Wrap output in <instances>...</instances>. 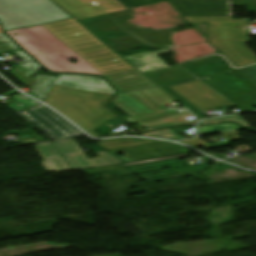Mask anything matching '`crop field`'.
Masks as SVG:
<instances>
[{
    "instance_id": "5a996713",
    "label": "crop field",
    "mask_w": 256,
    "mask_h": 256,
    "mask_svg": "<svg viewBox=\"0 0 256 256\" xmlns=\"http://www.w3.org/2000/svg\"><path fill=\"white\" fill-rule=\"evenodd\" d=\"M101 157L94 158L90 161L87 160L85 154L52 159L42 161V165L46 168L47 171L56 170L57 172L67 171V170H74V169H81V168H88V167H95L107 164H116L122 163L116 157L111 155L109 152H100L97 153Z\"/></svg>"
},
{
    "instance_id": "28ad6ade",
    "label": "crop field",
    "mask_w": 256,
    "mask_h": 256,
    "mask_svg": "<svg viewBox=\"0 0 256 256\" xmlns=\"http://www.w3.org/2000/svg\"><path fill=\"white\" fill-rule=\"evenodd\" d=\"M35 148L43 160L83 153L74 140L38 145Z\"/></svg>"
},
{
    "instance_id": "00972430",
    "label": "crop field",
    "mask_w": 256,
    "mask_h": 256,
    "mask_svg": "<svg viewBox=\"0 0 256 256\" xmlns=\"http://www.w3.org/2000/svg\"><path fill=\"white\" fill-rule=\"evenodd\" d=\"M122 93H118L117 96L114 98V100L112 102H116V100L121 96Z\"/></svg>"
},
{
    "instance_id": "d1516ede",
    "label": "crop field",
    "mask_w": 256,
    "mask_h": 256,
    "mask_svg": "<svg viewBox=\"0 0 256 256\" xmlns=\"http://www.w3.org/2000/svg\"><path fill=\"white\" fill-rule=\"evenodd\" d=\"M169 51L161 50L158 52H146L136 55L125 56L132 65H134L142 73L168 68L169 66L162 61L157 55Z\"/></svg>"
},
{
    "instance_id": "4a817a6b",
    "label": "crop field",
    "mask_w": 256,
    "mask_h": 256,
    "mask_svg": "<svg viewBox=\"0 0 256 256\" xmlns=\"http://www.w3.org/2000/svg\"><path fill=\"white\" fill-rule=\"evenodd\" d=\"M89 1L92 3V5H95V6L109 3V2L119 3L116 0H89Z\"/></svg>"
},
{
    "instance_id": "ac0d7876",
    "label": "crop field",
    "mask_w": 256,
    "mask_h": 256,
    "mask_svg": "<svg viewBox=\"0 0 256 256\" xmlns=\"http://www.w3.org/2000/svg\"><path fill=\"white\" fill-rule=\"evenodd\" d=\"M12 33H17L18 36H13ZM6 34L51 72L85 73L103 76L42 26L7 32ZM39 51L43 53H39ZM71 57L78 62L72 64L66 61Z\"/></svg>"
},
{
    "instance_id": "733c2abd",
    "label": "crop field",
    "mask_w": 256,
    "mask_h": 256,
    "mask_svg": "<svg viewBox=\"0 0 256 256\" xmlns=\"http://www.w3.org/2000/svg\"><path fill=\"white\" fill-rule=\"evenodd\" d=\"M205 129V134H214V133H222V132H228V131H235V130H240L238 127L234 126H217V127H208L204 128Z\"/></svg>"
},
{
    "instance_id": "cbeb9de0",
    "label": "crop field",
    "mask_w": 256,
    "mask_h": 256,
    "mask_svg": "<svg viewBox=\"0 0 256 256\" xmlns=\"http://www.w3.org/2000/svg\"><path fill=\"white\" fill-rule=\"evenodd\" d=\"M140 136L164 138V139L173 140V141L184 139L182 136L176 134L170 128L163 129V130H158V131H153V132H149V133H144V134H141Z\"/></svg>"
},
{
    "instance_id": "34b2d1b8",
    "label": "crop field",
    "mask_w": 256,
    "mask_h": 256,
    "mask_svg": "<svg viewBox=\"0 0 256 256\" xmlns=\"http://www.w3.org/2000/svg\"><path fill=\"white\" fill-rule=\"evenodd\" d=\"M110 98V95L53 85L45 103L67 116L90 135L99 137L93 130L117 117L105 107Z\"/></svg>"
},
{
    "instance_id": "412701ff",
    "label": "crop field",
    "mask_w": 256,
    "mask_h": 256,
    "mask_svg": "<svg viewBox=\"0 0 256 256\" xmlns=\"http://www.w3.org/2000/svg\"><path fill=\"white\" fill-rule=\"evenodd\" d=\"M13 50L26 64L13 69L10 74L32 92L44 99L53 84L113 95L112 89L101 77L60 74L59 78L33 73L40 68L28 55L0 34V52ZM33 74L31 79L28 75Z\"/></svg>"
},
{
    "instance_id": "22f410ed",
    "label": "crop field",
    "mask_w": 256,
    "mask_h": 256,
    "mask_svg": "<svg viewBox=\"0 0 256 256\" xmlns=\"http://www.w3.org/2000/svg\"><path fill=\"white\" fill-rule=\"evenodd\" d=\"M12 98H14L17 102L22 104L20 106L14 104V103H11L8 105V107L11 108L15 112L41 104V103H39L31 98H28L22 94L13 96Z\"/></svg>"
},
{
    "instance_id": "8a807250",
    "label": "crop field",
    "mask_w": 256,
    "mask_h": 256,
    "mask_svg": "<svg viewBox=\"0 0 256 256\" xmlns=\"http://www.w3.org/2000/svg\"><path fill=\"white\" fill-rule=\"evenodd\" d=\"M105 78L119 92H124L115 104L144 128L185 122V117L190 116L186 112L160 109L173 100L135 69Z\"/></svg>"
},
{
    "instance_id": "d9b57169",
    "label": "crop field",
    "mask_w": 256,
    "mask_h": 256,
    "mask_svg": "<svg viewBox=\"0 0 256 256\" xmlns=\"http://www.w3.org/2000/svg\"><path fill=\"white\" fill-rule=\"evenodd\" d=\"M224 121H235L244 127H247L248 125L238 116H229V117H223V118H217V119H211V120H205L201 121V124H207V123H215V122H224Z\"/></svg>"
},
{
    "instance_id": "dafd665d",
    "label": "crop field",
    "mask_w": 256,
    "mask_h": 256,
    "mask_svg": "<svg viewBox=\"0 0 256 256\" xmlns=\"http://www.w3.org/2000/svg\"><path fill=\"white\" fill-rule=\"evenodd\" d=\"M16 92H18V91L14 89V90H12V91H10V92L4 94V95L9 96V95H11V94H13V93H16Z\"/></svg>"
},
{
    "instance_id": "214f88e0",
    "label": "crop field",
    "mask_w": 256,
    "mask_h": 256,
    "mask_svg": "<svg viewBox=\"0 0 256 256\" xmlns=\"http://www.w3.org/2000/svg\"><path fill=\"white\" fill-rule=\"evenodd\" d=\"M227 124H231V125L237 126L236 124H232V123L218 124V125H227ZM211 126H216V125H211ZM204 127H207V126L199 127V133H200L201 135H204V130H203ZM240 128H241V127H240ZM241 129H242V128H241Z\"/></svg>"
},
{
    "instance_id": "dd49c442",
    "label": "crop field",
    "mask_w": 256,
    "mask_h": 256,
    "mask_svg": "<svg viewBox=\"0 0 256 256\" xmlns=\"http://www.w3.org/2000/svg\"><path fill=\"white\" fill-rule=\"evenodd\" d=\"M49 0H0L4 31L69 18Z\"/></svg>"
},
{
    "instance_id": "5142ce71",
    "label": "crop field",
    "mask_w": 256,
    "mask_h": 256,
    "mask_svg": "<svg viewBox=\"0 0 256 256\" xmlns=\"http://www.w3.org/2000/svg\"><path fill=\"white\" fill-rule=\"evenodd\" d=\"M164 91L169 93L171 96H173L175 99H177L180 103H182L188 110H190L195 116H197L199 119L204 118L201 116V112L195 109L193 106H191L189 103H187L185 100H183L181 97H179L175 92H173L169 87L162 88ZM176 100V101H177ZM181 104V105H182Z\"/></svg>"
},
{
    "instance_id": "3316defc",
    "label": "crop field",
    "mask_w": 256,
    "mask_h": 256,
    "mask_svg": "<svg viewBox=\"0 0 256 256\" xmlns=\"http://www.w3.org/2000/svg\"><path fill=\"white\" fill-rule=\"evenodd\" d=\"M78 20L126 10L120 4L109 3L94 7L88 0H54Z\"/></svg>"
},
{
    "instance_id": "e52e79f7",
    "label": "crop field",
    "mask_w": 256,
    "mask_h": 256,
    "mask_svg": "<svg viewBox=\"0 0 256 256\" xmlns=\"http://www.w3.org/2000/svg\"><path fill=\"white\" fill-rule=\"evenodd\" d=\"M17 114L39 131L47 134L52 140L85 135L70 122L42 104L37 107L17 112Z\"/></svg>"
},
{
    "instance_id": "f4fd0767",
    "label": "crop field",
    "mask_w": 256,
    "mask_h": 256,
    "mask_svg": "<svg viewBox=\"0 0 256 256\" xmlns=\"http://www.w3.org/2000/svg\"><path fill=\"white\" fill-rule=\"evenodd\" d=\"M189 23L207 22L211 43L236 67L256 63V59L243 46L247 41L246 20L231 17H183ZM236 26V28H234Z\"/></svg>"
},
{
    "instance_id": "bc2a9ffb",
    "label": "crop field",
    "mask_w": 256,
    "mask_h": 256,
    "mask_svg": "<svg viewBox=\"0 0 256 256\" xmlns=\"http://www.w3.org/2000/svg\"><path fill=\"white\" fill-rule=\"evenodd\" d=\"M194 123H196V121L186 122V123H180V124H174V125H168V126H176V125H181V124H194ZM163 127H167V126L155 127V128H148V129H146V130L151 131V130H155V129H159V128H163Z\"/></svg>"
},
{
    "instance_id": "92a150f3",
    "label": "crop field",
    "mask_w": 256,
    "mask_h": 256,
    "mask_svg": "<svg viewBox=\"0 0 256 256\" xmlns=\"http://www.w3.org/2000/svg\"><path fill=\"white\" fill-rule=\"evenodd\" d=\"M28 94L31 95L32 97H34V98H36V99H38V100L44 102L42 99H40V98H39L38 96H36L34 93L30 92V93H28Z\"/></svg>"
},
{
    "instance_id": "d8731c3e",
    "label": "crop field",
    "mask_w": 256,
    "mask_h": 256,
    "mask_svg": "<svg viewBox=\"0 0 256 256\" xmlns=\"http://www.w3.org/2000/svg\"><path fill=\"white\" fill-rule=\"evenodd\" d=\"M170 88L199 110L231 105L199 80Z\"/></svg>"
}]
</instances>
